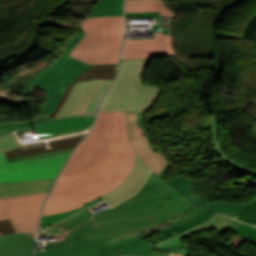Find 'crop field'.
I'll return each mask as SVG.
<instances>
[{
  "label": "crop field",
  "instance_id": "obj_9",
  "mask_svg": "<svg viewBox=\"0 0 256 256\" xmlns=\"http://www.w3.org/2000/svg\"><path fill=\"white\" fill-rule=\"evenodd\" d=\"M127 128L130 141L137 154L150 166L151 169L154 170V172L164 178L170 163L163 154L152 153V149L146 136V127L143 122L142 114L127 112Z\"/></svg>",
  "mask_w": 256,
  "mask_h": 256
},
{
  "label": "crop field",
  "instance_id": "obj_2",
  "mask_svg": "<svg viewBox=\"0 0 256 256\" xmlns=\"http://www.w3.org/2000/svg\"><path fill=\"white\" fill-rule=\"evenodd\" d=\"M125 114L114 112L112 147L105 159L84 174L59 178L43 216L72 210L99 196L112 207L138 191L151 170L130 146Z\"/></svg>",
  "mask_w": 256,
  "mask_h": 256
},
{
  "label": "crop field",
  "instance_id": "obj_32",
  "mask_svg": "<svg viewBox=\"0 0 256 256\" xmlns=\"http://www.w3.org/2000/svg\"><path fill=\"white\" fill-rule=\"evenodd\" d=\"M13 227L9 219L0 221V234L13 233Z\"/></svg>",
  "mask_w": 256,
  "mask_h": 256
},
{
  "label": "crop field",
  "instance_id": "obj_8",
  "mask_svg": "<svg viewBox=\"0 0 256 256\" xmlns=\"http://www.w3.org/2000/svg\"><path fill=\"white\" fill-rule=\"evenodd\" d=\"M90 66L68 57L55 70L41 77L42 81L33 86L46 92V105L41 108V113L48 116L55 109L66 86Z\"/></svg>",
  "mask_w": 256,
  "mask_h": 256
},
{
  "label": "crop field",
  "instance_id": "obj_18",
  "mask_svg": "<svg viewBox=\"0 0 256 256\" xmlns=\"http://www.w3.org/2000/svg\"><path fill=\"white\" fill-rule=\"evenodd\" d=\"M159 10L160 16L171 18L177 16V12L168 6L167 0H125V12H142Z\"/></svg>",
  "mask_w": 256,
  "mask_h": 256
},
{
  "label": "crop field",
  "instance_id": "obj_7",
  "mask_svg": "<svg viewBox=\"0 0 256 256\" xmlns=\"http://www.w3.org/2000/svg\"><path fill=\"white\" fill-rule=\"evenodd\" d=\"M46 194L0 199V220L10 218L16 233L36 231Z\"/></svg>",
  "mask_w": 256,
  "mask_h": 256
},
{
  "label": "crop field",
  "instance_id": "obj_14",
  "mask_svg": "<svg viewBox=\"0 0 256 256\" xmlns=\"http://www.w3.org/2000/svg\"><path fill=\"white\" fill-rule=\"evenodd\" d=\"M55 177L21 181V182H1L0 197L21 196L33 193L49 192Z\"/></svg>",
  "mask_w": 256,
  "mask_h": 256
},
{
  "label": "crop field",
  "instance_id": "obj_28",
  "mask_svg": "<svg viewBox=\"0 0 256 256\" xmlns=\"http://www.w3.org/2000/svg\"><path fill=\"white\" fill-rule=\"evenodd\" d=\"M99 200H103L101 197L97 198V199H94L90 202H87L85 203V206H82L80 208H77V209H74L72 211H68V212H63V213H59V214H55V215H50V216H45L42 218V222H41V225L42 226H45V225H49V224H52V223H55V222H58L64 218H67L73 214H75L76 212L80 211L81 209L99 201Z\"/></svg>",
  "mask_w": 256,
  "mask_h": 256
},
{
  "label": "crop field",
  "instance_id": "obj_37",
  "mask_svg": "<svg viewBox=\"0 0 256 256\" xmlns=\"http://www.w3.org/2000/svg\"><path fill=\"white\" fill-rule=\"evenodd\" d=\"M255 106H256V100H255Z\"/></svg>",
  "mask_w": 256,
  "mask_h": 256
},
{
  "label": "crop field",
  "instance_id": "obj_35",
  "mask_svg": "<svg viewBox=\"0 0 256 256\" xmlns=\"http://www.w3.org/2000/svg\"><path fill=\"white\" fill-rule=\"evenodd\" d=\"M255 117H256V115H255ZM251 127H252V130L256 133V125H251ZM255 141H256V138H255Z\"/></svg>",
  "mask_w": 256,
  "mask_h": 256
},
{
  "label": "crop field",
  "instance_id": "obj_12",
  "mask_svg": "<svg viewBox=\"0 0 256 256\" xmlns=\"http://www.w3.org/2000/svg\"><path fill=\"white\" fill-rule=\"evenodd\" d=\"M95 115L90 116H76L71 118L57 119L51 122L35 125L22 130L16 131V133L28 129H35L40 138L50 135L73 131L77 129H89Z\"/></svg>",
  "mask_w": 256,
  "mask_h": 256
},
{
  "label": "crop field",
  "instance_id": "obj_15",
  "mask_svg": "<svg viewBox=\"0 0 256 256\" xmlns=\"http://www.w3.org/2000/svg\"><path fill=\"white\" fill-rule=\"evenodd\" d=\"M34 233L0 236V256H32Z\"/></svg>",
  "mask_w": 256,
  "mask_h": 256
},
{
  "label": "crop field",
  "instance_id": "obj_21",
  "mask_svg": "<svg viewBox=\"0 0 256 256\" xmlns=\"http://www.w3.org/2000/svg\"><path fill=\"white\" fill-rule=\"evenodd\" d=\"M217 213L214 212H210L208 210H205L200 216L188 220L186 222L180 223L178 225H175L171 228H168L166 230L161 231L159 234H157V236H159L160 238H162L163 240L172 237L174 235H177L181 232H184L190 228H193L195 226H198L206 221H208L210 218H212L213 216H215ZM173 232H176L175 234Z\"/></svg>",
  "mask_w": 256,
  "mask_h": 256
},
{
  "label": "crop field",
  "instance_id": "obj_10",
  "mask_svg": "<svg viewBox=\"0 0 256 256\" xmlns=\"http://www.w3.org/2000/svg\"><path fill=\"white\" fill-rule=\"evenodd\" d=\"M166 181H168L171 185L180 190L191 204L213 210L229 217L235 214L241 207L246 204L228 203L223 200L208 203L203 197L196 196L194 192L195 182L187 179L185 176L173 177Z\"/></svg>",
  "mask_w": 256,
  "mask_h": 256
},
{
  "label": "crop field",
  "instance_id": "obj_24",
  "mask_svg": "<svg viewBox=\"0 0 256 256\" xmlns=\"http://www.w3.org/2000/svg\"><path fill=\"white\" fill-rule=\"evenodd\" d=\"M53 120L50 117L40 114L39 118L36 120H31L27 122H19V123H4L0 124V136L11 131H15L17 129L25 128L31 125L43 123L46 121Z\"/></svg>",
  "mask_w": 256,
  "mask_h": 256
},
{
  "label": "crop field",
  "instance_id": "obj_26",
  "mask_svg": "<svg viewBox=\"0 0 256 256\" xmlns=\"http://www.w3.org/2000/svg\"><path fill=\"white\" fill-rule=\"evenodd\" d=\"M174 49H162L153 51L123 52L121 59H139L150 56H165L174 54Z\"/></svg>",
  "mask_w": 256,
  "mask_h": 256
},
{
  "label": "crop field",
  "instance_id": "obj_13",
  "mask_svg": "<svg viewBox=\"0 0 256 256\" xmlns=\"http://www.w3.org/2000/svg\"><path fill=\"white\" fill-rule=\"evenodd\" d=\"M202 229H215L218 234H222L227 230H231L239 237L256 245V228L245 223L235 221L231 218L217 215L210 221L186 232L188 235L200 231Z\"/></svg>",
  "mask_w": 256,
  "mask_h": 256
},
{
  "label": "crop field",
  "instance_id": "obj_19",
  "mask_svg": "<svg viewBox=\"0 0 256 256\" xmlns=\"http://www.w3.org/2000/svg\"><path fill=\"white\" fill-rule=\"evenodd\" d=\"M156 39L130 40L125 39L123 51H137V50H153L161 48H171V35H162L155 33ZM165 40V42H163Z\"/></svg>",
  "mask_w": 256,
  "mask_h": 256
},
{
  "label": "crop field",
  "instance_id": "obj_4",
  "mask_svg": "<svg viewBox=\"0 0 256 256\" xmlns=\"http://www.w3.org/2000/svg\"><path fill=\"white\" fill-rule=\"evenodd\" d=\"M150 59L122 61L119 75L105 95L99 110L144 113L152 107L160 93V87L144 85L141 78Z\"/></svg>",
  "mask_w": 256,
  "mask_h": 256
},
{
  "label": "crop field",
  "instance_id": "obj_20",
  "mask_svg": "<svg viewBox=\"0 0 256 256\" xmlns=\"http://www.w3.org/2000/svg\"><path fill=\"white\" fill-rule=\"evenodd\" d=\"M81 34L71 38L70 40L67 41V44L65 45V48L61 51V56L58 57L56 59V61L50 65L49 67L45 68L44 70L40 71L39 73H35L34 76H36L34 79H32L30 82H28L27 84L23 85L22 87H20V89L18 90V93L20 95H24V94H32L33 91L35 90V88L32 87V85H34L35 83L39 82L40 80H38L41 76L45 75L46 73L52 71L54 68H56L58 65H60L62 62H64L66 60V58L68 57V53L71 49V47L76 43V41L78 40L79 36ZM35 92V91H34Z\"/></svg>",
  "mask_w": 256,
  "mask_h": 256
},
{
  "label": "crop field",
  "instance_id": "obj_5",
  "mask_svg": "<svg viewBox=\"0 0 256 256\" xmlns=\"http://www.w3.org/2000/svg\"><path fill=\"white\" fill-rule=\"evenodd\" d=\"M113 112H99L96 123L71 155L60 177L83 173L101 162L112 141Z\"/></svg>",
  "mask_w": 256,
  "mask_h": 256
},
{
  "label": "crop field",
  "instance_id": "obj_30",
  "mask_svg": "<svg viewBox=\"0 0 256 256\" xmlns=\"http://www.w3.org/2000/svg\"><path fill=\"white\" fill-rule=\"evenodd\" d=\"M20 146L12 133L0 137V153L12 150Z\"/></svg>",
  "mask_w": 256,
  "mask_h": 256
},
{
  "label": "crop field",
  "instance_id": "obj_25",
  "mask_svg": "<svg viewBox=\"0 0 256 256\" xmlns=\"http://www.w3.org/2000/svg\"><path fill=\"white\" fill-rule=\"evenodd\" d=\"M212 119V130L214 132V147L215 149L219 152V154L222 156L223 160H225L228 164H231L235 167H238L239 169H241L243 166L239 165L237 162L233 161L230 157H228L226 154L222 153L217 141H218V137H219V128H218V121L215 117H211ZM242 170V169H241ZM246 173H249L251 175L256 176V171L252 170V169H245L242 170Z\"/></svg>",
  "mask_w": 256,
  "mask_h": 256
},
{
  "label": "crop field",
  "instance_id": "obj_16",
  "mask_svg": "<svg viewBox=\"0 0 256 256\" xmlns=\"http://www.w3.org/2000/svg\"><path fill=\"white\" fill-rule=\"evenodd\" d=\"M118 64L113 65H95L87 69L83 74H81L77 79H75L71 84H69L58 104L56 109L50 114L54 118L55 114L61 108L63 102L68 97L71 89L75 86L77 81L92 80V79H110L113 80L115 77L116 69Z\"/></svg>",
  "mask_w": 256,
  "mask_h": 256
},
{
  "label": "crop field",
  "instance_id": "obj_27",
  "mask_svg": "<svg viewBox=\"0 0 256 256\" xmlns=\"http://www.w3.org/2000/svg\"><path fill=\"white\" fill-rule=\"evenodd\" d=\"M233 218L239 221L256 224V197L235 216H233Z\"/></svg>",
  "mask_w": 256,
  "mask_h": 256
},
{
  "label": "crop field",
  "instance_id": "obj_22",
  "mask_svg": "<svg viewBox=\"0 0 256 256\" xmlns=\"http://www.w3.org/2000/svg\"><path fill=\"white\" fill-rule=\"evenodd\" d=\"M111 15H122V0H101L89 17Z\"/></svg>",
  "mask_w": 256,
  "mask_h": 256
},
{
  "label": "crop field",
  "instance_id": "obj_11",
  "mask_svg": "<svg viewBox=\"0 0 256 256\" xmlns=\"http://www.w3.org/2000/svg\"><path fill=\"white\" fill-rule=\"evenodd\" d=\"M105 80L78 82L55 118L84 114L88 104Z\"/></svg>",
  "mask_w": 256,
  "mask_h": 256
},
{
  "label": "crop field",
  "instance_id": "obj_31",
  "mask_svg": "<svg viewBox=\"0 0 256 256\" xmlns=\"http://www.w3.org/2000/svg\"><path fill=\"white\" fill-rule=\"evenodd\" d=\"M71 151H72V149H67V150H61V151H55V152L37 154V155H32V156L20 157V158H15V159H9V160H7V161H8V162H11V161H17V160H23V159L26 160V159H32V158H37V157H43V156H49V155L67 153V152H71Z\"/></svg>",
  "mask_w": 256,
  "mask_h": 256
},
{
  "label": "crop field",
  "instance_id": "obj_36",
  "mask_svg": "<svg viewBox=\"0 0 256 256\" xmlns=\"http://www.w3.org/2000/svg\"><path fill=\"white\" fill-rule=\"evenodd\" d=\"M182 254H178V255H171V256H181Z\"/></svg>",
  "mask_w": 256,
  "mask_h": 256
},
{
  "label": "crop field",
  "instance_id": "obj_3",
  "mask_svg": "<svg viewBox=\"0 0 256 256\" xmlns=\"http://www.w3.org/2000/svg\"><path fill=\"white\" fill-rule=\"evenodd\" d=\"M82 31L69 56L89 64L117 63L123 43V16L93 17L79 24Z\"/></svg>",
  "mask_w": 256,
  "mask_h": 256
},
{
  "label": "crop field",
  "instance_id": "obj_34",
  "mask_svg": "<svg viewBox=\"0 0 256 256\" xmlns=\"http://www.w3.org/2000/svg\"><path fill=\"white\" fill-rule=\"evenodd\" d=\"M79 131H80V130H78V131H74V132H79ZM74 132H69V133L58 134V135L50 136V137H47V138H52V137H56V136H60V135L71 134V133H74ZM47 138H43V139H47ZM43 139H41V140H43Z\"/></svg>",
  "mask_w": 256,
  "mask_h": 256
},
{
  "label": "crop field",
  "instance_id": "obj_29",
  "mask_svg": "<svg viewBox=\"0 0 256 256\" xmlns=\"http://www.w3.org/2000/svg\"><path fill=\"white\" fill-rule=\"evenodd\" d=\"M111 83H112V81L106 80L105 83L100 87V89L97 91V93L93 97V99L87 109L86 114H95L96 113V109H97L99 100L102 97V95L105 93L107 88L110 86Z\"/></svg>",
  "mask_w": 256,
  "mask_h": 256
},
{
  "label": "crop field",
  "instance_id": "obj_1",
  "mask_svg": "<svg viewBox=\"0 0 256 256\" xmlns=\"http://www.w3.org/2000/svg\"><path fill=\"white\" fill-rule=\"evenodd\" d=\"M204 209L189 205L178 190L152 172L141 190L120 205L91 215L84 209L39 230L59 239L35 256H160L145 238L201 214Z\"/></svg>",
  "mask_w": 256,
  "mask_h": 256
},
{
  "label": "crop field",
  "instance_id": "obj_23",
  "mask_svg": "<svg viewBox=\"0 0 256 256\" xmlns=\"http://www.w3.org/2000/svg\"><path fill=\"white\" fill-rule=\"evenodd\" d=\"M185 237H187V234L182 233L176 237L160 243L157 245L156 249L170 251L174 254L183 253L182 256H189L190 246H185L182 241Z\"/></svg>",
  "mask_w": 256,
  "mask_h": 256
},
{
  "label": "crop field",
  "instance_id": "obj_6",
  "mask_svg": "<svg viewBox=\"0 0 256 256\" xmlns=\"http://www.w3.org/2000/svg\"><path fill=\"white\" fill-rule=\"evenodd\" d=\"M68 154L7 163L0 154V181H21L57 176ZM11 176V177H9Z\"/></svg>",
  "mask_w": 256,
  "mask_h": 256
},
{
  "label": "crop field",
  "instance_id": "obj_33",
  "mask_svg": "<svg viewBox=\"0 0 256 256\" xmlns=\"http://www.w3.org/2000/svg\"><path fill=\"white\" fill-rule=\"evenodd\" d=\"M126 17H136V16H159L158 11L153 12H142V13H125Z\"/></svg>",
  "mask_w": 256,
  "mask_h": 256
},
{
  "label": "crop field",
  "instance_id": "obj_17",
  "mask_svg": "<svg viewBox=\"0 0 256 256\" xmlns=\"http://www.w3.org/2000/svg\"><path fill=\"white\" fill-rule=\"evenodd\" d=\"M83 137H74L71 139L63 140V141H57L52 144L53 149L50 150H44L43 145L39 143L23 146L16 148L12 151L6 152V158H15L20 156H26V155H32L37 153H43V152H49V151H55V150H61V149H67L75 147V145L82 139Z\"/></svg>",
  "mask_w": 256,
  "mask_h": 256
}]
</instances>
